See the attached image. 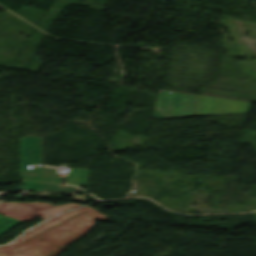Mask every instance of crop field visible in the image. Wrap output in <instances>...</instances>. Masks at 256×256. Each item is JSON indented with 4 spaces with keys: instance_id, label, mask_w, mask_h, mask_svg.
<instances>
[{
    "instance_id": "crop-field-1",
    "label": "crop field",
    "mask_w": 256,
    "mask_h": 256,
    "mask_svg": "<svg viewBox=\"0 0 256 256\" xmlns=\"http://www.w3.org/2000/svg\"><path fill=\"white\" fill-rule=\"evenodd\" d=\"M250 103L160 90L152 119L248 112Z\"/></svg>"
},
{
    "instance_id": "crop-field-2",
    "label": "crop field",
    "mask_w": 256,
    "mask_h": 256,
    "mask_svg": "<svg viewBox=\"0 0 256 256\" xmlns=\"http://www.w3.org/2000/svg\"><path fill=\"white\" fill-rule=\"evenodd\" d=\"M41 138L20 137V179L61 183V177L53 173L26 169V164L40 163ZM39 170L54 169L38 167Z\"/></svg>"
},
{
    "instance_id": "crop-field-3",
    "label": "crop field",
    "mask_w": 256,
    "mask_h": 256,
    "mask_svg": "<svg viewBox=\"0 0 256 256\" xmlns=\"http://www.w3.org/2000/svg\"><path fill=\"white\" fill-rule=\"evenodd\" d=\"M23 188L26 189H33L35 191H52V192H58V191H65V192H82L83 190L69 185H58V184H52V183H45V182H37V181H27L22 180Z\"/></svg>"
},
{
    "instance_id": "crop-field-4",
    "label": "crop field",
    "mask_w": 256,
    "mask_h": 256,
    "mask_svg": "<svg viewBox=\"0 0 256 256\" xmlns=\"http://www.w3.org/2000/svg\"><path fill=\"white\" fill-rule=\"evenodd\" d=\"M88 169L70 168L64 182L84 187Z\"/></svg>"
},
{
    "instance_id": "crop-field-5",
    "label": "crop field",
    "mask_w": 256,
    "mask_h": 256,
    "mask_svg": "<svg viewBox=\"0 0 256 256\" xmlns=\"http://www.w3.org/2000/svg\"><path fill=\"white\" fill-rule=\"evenodd\" d=\"M20 223H22V222L0 215V234L13 228L14 226H16Z\"/></svg>"
},
{
    "instance_id": "crop-field-6",
    "label": "crop field",
    "mask_w": 256,
    "mask_h": 256,
    "mask_svg": "<svg viewBox=\"0 0 256 256\" xmlns=\"http://www.w3.org/2000/svg\"><path fill=\"white\" fill-rule=\"evenodd\" d=\"M73 199L72 200H79V201H82V202H85L86 201V198H85V195H81V196H78V195H73Z\"/></svg>"
},
{
    "instance_id": "crop-field-7",
    "label": "crop field",
    "mask_w": 256,
    "mask_h": 256,
    "mask_svg": "<svg viewBox=\"0 0 256 256\" xmlns=\"http://www.w3.org/2000/svg\"><path fill=\"white\" fill-rule=\"evenodd\" d=\"M27 195L39 196V197H51V196H48V194H41V195H36V194H27Z\"/></svg>"
},
{
    "instance_id": "crop-field-8",
    "label": "crop field",
    "mask_w": 256,
    "mask_h": 256,
    "mask_svg": "<svg viewBox=\"0 0 256 256\" xmlns=\"http://www.w3.org/2000/svg\"><path fill=\"white\" fill-rule=\"evenodd\" d=\"M16 198H18L19 200H22V195L19 194V195L16 196Z\"/></svg>"
}]
</instances>
